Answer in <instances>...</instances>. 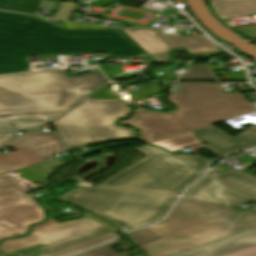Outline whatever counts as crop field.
I'll return each mask as SVG.
<instances>
[{
	"label": "crop field",
	"instance_id": "8a807250",
	"mask_svg": "<svg viewBox=\"0 0 256 256\" xmlns=\"http://www.w3.org/2000/svg\"><path fill=\"white\" fill-rule=\"evenodd\" d=\"M95 52L121 58L149 55L122 30H67L0 11V74L30 71L29 55Z\"/></svg>",
	"mask_w": 256,
	"mask_h": 256
},
{
	"label": "crop field",
	"instance_id": "ac0d7876",
	"mask_svg": "<svg viewBox=\"0 0 256 256\" xmlns=\"http://www.w3.org/2000/svg\"><path fill=\"white\" fill-rule=\"evenodd\" d=\"M252 111L255 109L241 94H221L220 84L181 83L178 110L164 114L136 110L118 123L136 128L140 133L137 140L150 143Z\"/></svg>",
	"mask_w": 256,
	"mask_h": 256
},
{
	"label": "crop field",
	"instance_id": "34b2d1b8",
	"mask_svg": "<svg viewBox=\"0 0 256 256\" xmlns=\"http://www.w3.org/2000/svg\"><path fill=\"white\" fill-rule=\"evenodd\" d=\"M256 227V211L182 198L174 211L152 226L165 239L138 247L148 256H172Z\"/></svg>",
	"mask_w": 256,
	"mask_h": 256
},
{
	"label": "crop field",
	"instance_id": "412701ff",
	"mask_svg": "<svg viewBox=\"0 0 256 256\" xmlns=\"http://www.w3.org/2000/svg\"><path fill=\"white\" fill-rule=\"evenodd\" d=\"M103 79L100 71L67 78L65 70L0 77V114L69 110L86 98L75 88L90 91Z\"/></svg>",
	"mask_w": 256,
	"mask_h": 256
},
{
	"label": "crop field",
	"instance_id": "f4fd0767",
	"mask_svg": "<svg viewBox=\"0 0 256 256\" xmlns=\"http://www.w3.org/2000/svg\"><path fill=\"white\" fill-rule=\"evenodd\" d=\"M60 199L114 223L124 232L159 220L177 196L96 186L77 188Z\"/></svg>",
	"mask_w": 256,
	"mask_h": 256
},
{
	"label": "crop field",
	"instance_id": "dd49c442",
	"mask_svg": "<svg viewBox=\"0 0 256 256\" xmlns=\"http://www.w3.org/2000/svg\"><path fill=\"white\" fill-rule=\"evenodd\" d=\"M135 150L146 157L100 185L178 195L201 176L209 162L198 155L172 156L148 145Z\"/></svg>",
	"mask_w": 256,
	"mask_h": 256
},
{
	"label": "crop field",
	"instance_id": "e52e79f7",
	"mask_svg": "<svg viewBox=\"0 0 256 256\" xmlns=\"http://www.w3.org/2000/svg\"><path fill=\"white\" fill-rule=\"evenodd\" d=\"M122 102L86 101L83 105L53 121L68 149L137 137L134 130L113 124L130 114Z\"/></svg>",
	"mask_w": 256,
	"mask_h": 256
},
{
	"label": "crop field",
	"instance_id": "d8731c3e",
	"mask_svg": "<svg viewBox=\"0 0 256 256\" xmlns=\"http://www.w3.org/2000/svg\"><path fill=\"white\" fill-rule=\"evenodd\" d=\"M209 171L183 196L211 202L242 206L256 203V178L239 171L223 173L219 176Z\"/></svg>",
	"mask_w": 256,
	"mask_h": 256
},
{
	"label": "crop field",
	"instance_id": "5a996713",
	"mask_svg": "<svg viewBox=\"0 0 256 256\" xmlns=\"http://www.w3.org/2000/svg\"><path fill=\"white\" fill-rule=\"evenodd\" d=\"M157 62H170L171 49L183 47L190 55L208 56L222 49L213 46L203 35L162 37L161 28L123 30Z\"/></svg>",
	"mask_w": 256,
	"mask_h": 256
},
{
	"label": "crop field",
	"instance_id": "3316defc",
	"mask_svg": "<svg viewBox=\"0 0 256 256\" xmlns=\"http://www.w3.org/2000/svg\"><path fill=\"white\" fill-rule=\"evenodd\" d=\"M8 146L17 152L0 153V174L29 167L67 150L56 132L26 134Z\"/></svg>",
	"mask_w": 256,
	"mask_h": 256
},
{
	"label": "crop field",
	"instance_id": "28ad6ade",
	"mask_svg": "<svg viewBox=\"0 0 256 256\" xmlns=\"http://www.w3.org/2000/svg\"><path fill=\"white\" fill-rule=\"evenodd\" d=\"M44 218L40 205L26 194L0 200V239L23 235Z\"/></svg>",
	"mask_w": 256,
	"mask_h": 256
},
{
	"label": "crop field",
	"instance_id": "d1516ede",
	"mask_svg": "<svg viewBox=\"0 0 256 256\" xmlns=\"http://www.w3.org/2000/svg\"><path fill=\"white\" fill-rule=\"evenodd\" d=\"M99 226L102 225L86 218L65 223H57L53 219H49L43 225L34 226L31 234L25 238L4 241L0 246V253H6L39 244H42L43 246Z\"/></svg>",
	"mask_w": 256,
	"mask_h": 256
},
{
	"label": "crop field",
	"instance_id": "22f410ed",
	"mask_svg": "<svg viewBox=\"0 0 256 256\" xmlns=\"http://www.w3.org/2000/svg\"><path fill=\"white\" fill-rule=\"evenodd\" d=\"M193 135L220 154L256 146V126L232 138L213 125L192 131Z\"/></svg>",
	"mask_w": 256,
	"mask_h": 256
},
{
	"label": "crop field",
	"instance_id": "cbeb9de0",
	"mask_svg": "<svg viewBox=\"0 0 256 256\" xmlns=\"http://www.w3.org/2000/svg\"><path fill=\"white\" fill-rule=\"evenodd\" d=\"M179 256H256V229Z\"/></svg>",
	"mask_w": 256,
	"mask_h": 256
},
{
	"label": "crop field",
	"instance_id": "5142ce71",
	"mask_svg": "<svg viewBox=\"0 0 256 256\" xmlns=\"http://www.w3.org/2000/svg\"><path fill=\"white\" fill-rule=\"evenodd\" d=\"M63 113L0 117V133L28 131Z\"/></svg>",
	"mask_w": 256,
	"mask_h": 256
},
{
	"label": "crop field",
	"instance_id": "d9b57169",
	"mask_svg": "<svg viewBox=\"0 0 256 256\" xmlns=\"http://www.w3.org/2000/svg\"><path fill=\"white\" fill-rule=\"evenodd\" d=\"M217 17L221 20L233 16H251L256 14V0H209Z\"/></svg>",
	"mask_w": 256,
	"mask_h": 256
},
{
	"label": "crop field",
	"instance_id": "733c2abd",
	"mask_svg": "<svg viewBox=\"0 0 256 256\" xmlns=\"http://www.w3.org/2000/svg\"><path fill=\"white\" fill-rule=\"evenodd\" d=\"M112 231L113 230H111L105 226H102V227L75 235L73 237L43 246L41 248V256L55 252L57 250H60V249H63V248L69 247V246H72V245H75V244H78V243H82V242L91 240L93 238L99 237L101 235L107 234Z\"/></svg>",
	"mask_w": 256,
	"mask_h": 256
},
{
	"label": "crop field",
	"instance_id": "4a817a6b",
	"mask_svg": "<svg viewBox=\"0 0 256 256\" xmlns=\"http://www.w3.org/2000/svg\"><path fill=\"white\" fill-rule=\"evenodd\" d=\"M43 0H0V9L33 15Z\"/></svg>",
	"mask_w": 256,
	"mask_h": 256
},
{
	"label": "crop field",
	"instance_id": "bc2a9ffb",
	"mask_svg": "<svg viewBox=\"0 0 256 256\" xmlns=\"http://www.w3.org/2000/svg\"><path fill=\"white\" fill-rule=\"evenodd\" d=\"M197 143H200V141L196 140V138L191 134V132H186L179 136L164 139L162 141L153 143V145L165 148L170 151H175Z\"/></svg>",
	"mask_w": 256,
	"mask_h": 256
},
{
	"label": "crop field",
	"instance_id": "214f88e0",
	"mask_svg": "<svg viewBox=\"0 0 256 256\" xmlns=\"http://www.w3.org/2000/svg\"><path fill=\"white\" fill-rule=\"evenodd\" d=\"M128 239L136 247L148 244L150 242L163 238L158 232L151 227L133 231L127 234Z\"/></svg>",
	"mask_w": 256,
	"mask_h": 256
},
{
	"label": "crop field",
	"instance_id": "92a150f3",
	"mask_svg": "<svg viewBox=\"0 0 256 256\" xmlns=\"http://www.w3.org/2000/svg\"><path fill=\"white\" fill-rule=\"evenodd\" d=\"M116 236L117 235L114 232H112L110 234L104 235V236L96 238L94 240H91V241H88V242H85V243H82V244H78V245H75V246L57 251L55 253H52V254H49V255H46V256H66V255H69V254H72V253H75V252L93 247L95 245L104 243L106 241H109V240L113 239Z\"/></svg>",
	"mask_w": 256,
	"mask_h": 256
},
{
	"label": "crop field",
	"instance_id": "dafd665d",
	"mask_svg": "<svg viewBox=\"0 0 256 256\" xmlns=\"http://www.w3.org/2000/svg\"><path fill=\"white\" fill-rule=\"evenodd\" d=\"M26 193L12 176H0V199Z\"/></svg>",
	"mask_w": 256,
	"mask_h": 256
},
{
	"label": "crop field",
	"instance_id": "00972430",
	"mask_svg": "<svg viewBox=\"0 0 256 256\" xmlns=\"http://www.w3.org/2000/svg\"><path fill=\"white\" fill-rule=\"evenodd\" d=\"M188 73L180 75L179 81L216 80L204 65H189Z\"/></svg>",
	"mask_w": 256,
	"mask_h": 256
},
{
	"label": "crop field",
	"instance_id": "a9b5d70f",
	"mask_svg": "<svg viewBox=\"0 0 256 256\" xmlns=\"http://www.w3.org/2000/svg\"><path fill=\"white\" fill-rule=\"evenodd\" d=\"M119 241H114L112 243L106 244L104 246L98 247L96 249L75 255V256H128L127 254L123 253L118 255L114 250L110 247L119 245ZM142 256V255H138Z\"/></svg>",
	"mask_w": 256,
	"mask_h": 256
},
{
	"label": "crop field",
	"instance_id": "4177f3b9",
	"mask_svg": "<svg viewBox=\"0 0 256 256\" xmlns=\"http://www.w3.org/2000/svg\"><path fill=\"white\" fill-rule=\"evenodd\" d=\"M148 87H145V84H141V94L131 95L132 100H143L150 95L160 93L159 84H147Z\"/></svg>",
	"mask_w": 256,
	"mask_h": 256
},
{
	"label": "crop field",
	"instance_id": "730fd06b",
	"mask_svg": "<svg viewBox=\"0 0 256 256\" xmlns=\"http://www.w3.org/2000/svg\"><path fill=\"white\" fill-rule=\"evenodd\" d=\"M16 172L20 174L19 175L20 177H23L30 181H36V180H41V179L47 180V178L49 177V174L42 173V172L32 170L29 168H25L23 170L16 171Z\"/></svg>",
	"mask_w": 256,
	"mask_h": 256
},
{
	"label": "crop field",
	"instance_id": "eef30255",
	"mask_svg": "<svg viewBox=\"0 0 256 256\" xmlns=\"http://www.w3.org/2000/svg\"><path fill=\"white\" fill-rule=\"evenodd\" d=\"M75 4L72 3H61L60 10L54 15L55 18L69 20Z\"/></svg>",
	"mask_w": 256,
	"mask_h": 256
},
{
	"label": "crop field",
	"instance_id": "ae1a2a85",
	"mask_svg": "<svg viewBox=\"0 0 256 256\" xmlns=\"http://www.w3.org/2000/svg\"><path fill=\"white\" fill-rule=\"evenodd\" d=\"M117 96H113L108 92V86H103L97 90L91 96L89 99H117Z\"/></svg>",
	"mask_w": 256,
	"mask_h": 256
},
{
	"label": "crop field",
	"instance_id": "d3111659",
	"mask_svg": "<svg viewBox=\"0 0 256 256\" xmlns=\"http://www.w3.org/2000/svg\"><path fill=\"white\" fill-rule=\"evenodd\" d=\"M233 29L251 39L256 38V25L233 28Z\"/></svg>",
	"mask_w": 256,
	"mask_h": 256
},
{
	"label": "crop field",
	"instance_id": "750c4746",
	"mask_svg": "<svg viewBox=\"0 0 256 256\" xmlns=\"http://www.w3.org/2000/svg\"><path fill=\"white\" fill-rule=\"evenodd\" d=\"M101 69L105 72V74L111 80L114 76L118 75V71L115 65H107V66H100Z\"/></svg>",
	"mask_w": 256,
	"mask_h": 256
},
{
	"label": "crop field",
	"instance_id": "bd1437ed",
	"mask_svg": "<svg viewBox=\"0 0 256 256\" xmlns=\"http://www.w3.org/2000/svg\"><path fill=\"white\" fill-rule=\"evenodd\" d=\"M16 137H18L16 133L0 134V147L8 144Z\"/></svg>",
	"mask_w": 256,
	"mask_h": 256
},
{
	"label": "crop field",
	"instance_id": "1d83c4d3",
	"mask_svg": "<svg viewBox=\"0 0 256 256\" xmlns=\"http://www.w3.org/2000/svg\"><path fill=\"white\" fill-rule=\"evenodd\" d=\"M179 95L180 92H170L168 96L169 102L174 103L178 107Z\"/></svg>",
	"mask_w": 256,
	"mask_h": 256
},
{
	"label": "crop field",
	"instance_id": "120bbe31",
	"mask_svg": "<svg viewBox=\"0 0 256 256\" xmlns=\"http://www.w3.org/2000/svg\"><path fill=\"white\" fill-rule=\"evenodd\" d=\"M84 216H87V217H89V218H91V219H93V220H95V221H98V222H100V223H102V224H104V225H106V226H108V227H110V228H112V229H114V230H116V228L112 225V224H110V223H108V222H105V221H103V220H100V219H98V218H95V217H93V216H91V215H89V214H87V213H85V214H83Z\"/></svg>",
	"mask_w": 256,
	"mask_h": 256
},
{
	"label": "crop field",
	"instance_id": "d32e631a",
	"mask_svg": "<svg viewBox=\"0 0 256 256\" xmlns=\"http://www.w3.org/2000/svg\"><path fill=\"white\" fill-rule=\"evenodd\" d=\"M244 77L243 70L229 73V78Z\"/></svg>",
	"mask_w": 256,
	"mask_h": 256
},
{
	"label": "crop field",
	"instance_id": "5866460e",
	"mask_svg": "<svg viewBox=\"0 0 256 256\" xmlns=\"http://www.w3.org/2000/svg\"><path fill=\"white\" fill-rule=\"evenodd\" d=\"M178 74H165V76L163 77V79L165 81H171V79L177 78Z\"/></svg>",
	"mask_w": 256,
	"mask_h": 256
},
{
	"label": "crop field",
	"instance_id": "028f5c9d",
	"mask_svg": "<svg viewBox=\"0 0 256 256\" xmlns=\"http://www.w3.org/2000/svg\"><path fill=\"white\" fill-rule=\"evenodd\" d=\"M81 88L76 89L73 93H77V94H81V95L87 96L88 92L83 90V89H81Z\"/></svg>",
	"mask_w": 256,
	"mask_h": 256
},
{
	"label": "crop field",
	"instance_id": "e1f06a70",
	"mask_svg": "<svg viewBox=\"0 0 256 256\" xmlns=\"http://www.w3.org/2000/svg\"><path fill=\"white\" fill-rule=\"evenodd\" d=\"M219 81H245L244 78H237V79H218Z\"/></svg>",
	"mask_w": 256,
	"mask_h": 256
},
{
	"label": "crop field",
	"instance_id": "0bd39190",
	"mask_svg": "<svg viewBox=\"0 0 256 256\" xmlns=\"http://www.w3.org/2000/svg\"><path fill=\"white\" fill-rule=\"evenodd\" d=\"M254 210H256V208Z\"/></svg>",
	"mask_w": 256,
	"mask_h": 256
}]
</instances>
